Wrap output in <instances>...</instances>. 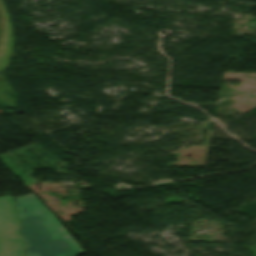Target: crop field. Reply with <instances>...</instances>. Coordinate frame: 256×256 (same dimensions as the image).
<instances>
[{
    "label": "crop field",
    "mask_w": 256,
    "mask_h": 256,
    "mask_svg": "<svg viewBox=\"0 0 256 256\" xmlns=\"http://www.w3.org/2000/svg\"><path fill=\"white\" fill-rule=\"evenodd\" d=\"M26 256H75L82 249L58 220L32 195L14 198Z\"/></svg>",
    "instance_id": "obj_1"
},
{
    "label": "crop field",
    "mask_w": 256,
    "mask_h": 256,
    "mask_svg": "<svg viewBox=\"0 0 256 256\" xmlns=\"http://www.w3.org/2000/svg\"><path fill=\"white\" fill-rule=\"evenodd\" d=\"M15 203L11 197L0 198V256H25L26 246L19 233Z\"/></svg>",
    "instance_id": "obj_2"
}]
</instances>
